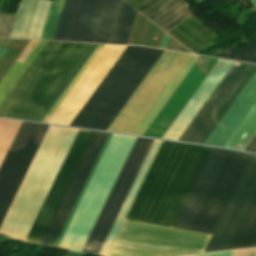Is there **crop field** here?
<instances>
[{
    "label": "crop field",
    "instance_id": "crop-field-1",
    "mask_svg": "<svg viewBox=\"0 0 256 256\" xmlns=\"http://www.w3.org/2000/svg\"><path fill=\"white\" fill-rule=\"evenodd\" d=\"M209 149L163 141L125 219L172 227ZM250 155L211 148L173 227L212 234ZM207 234L125 220L107 256L202 253Z\"/></svg>",
    "mask_w": 256,
    "mask_h": 256
},
{
    "label": "crop field",
    "instance_id": "crop-field-2",
    "mask_svg": "<svg viewBox=\"0 0 256 256\" xmlns=\"http://www.w3.org/2000/svg\"><path fill=\"white\" fill-rule=\"evenodd\" d=\"M48 127L23 122L0 167V225ZM92 133L80 130L76 134L77 137L75 136L76 139L25 241L39 243ZM107 135L93 133L39 244L54 245Z\"/></svg>",
    "mask_w": 256,
    "mask_h": 256
},
{
    "label": "crop field",
    "instance_id": "crop-field-3",
    "mask_svg": "<svg viewBox=\"0 0 256 256\" xmlns=\"http://www.w3.org/2000/svg\"><path fill=\"white\" fill-rule=\"evenodd\" d=\"M38 41H30L24 61ZM92 44L47 42L0 107V116L37 121Z\"/></svg>",
    "mask_w": 256,
    "mask_h": 256
},
{
    "label": "crop field",
    "instance_id": "crop-field-4",
    "mask_svg": "<svg viewBox=\"0 0 256 256\" xmlns=\"http://www.w3.org/2000/svg\"><path fill=\"white\" fill-rule=\"evenodd\" d=\"M255 70L256 65L232 66L179 140L203 143ZM255 104L256 72L204 143L224 147Z\"/></svg>",
    "mask_w": 256,
    "mask_h": 256
},
{
    "label": "crop field",
    "instance_id": "crop-field-5",
    "mask_svg": "<svg viewBox=\"0 0 256 256\" xmlns=\"http://www.w3.org/2000/svg\"><path fill=\"white\" fill-rule=\"evenodd\" d=\"M144 50L127 46L70 125L87 128ZM162 53L146 48L88 128L106 130Z\"/></svg>",
    "mask_w": 256,
    "mask_h": 256
},
{
    "label": "crop field",
    "instance_id": "crop-field-6",
    "mask_svg": "<svg viewBox=\"0 0 256 256\" xmlns=\"http://www.w3.org/2000/svg\"><path fill=\"white\" fill-rule=\"evenodd\" d=\"M256 246V155H251L204 252Z\"/></svg>",
    "mask_w": 256,
    "mask_h": 256
},
{
    "label": "crop field",
    "instance_id": "crop-field-7",
    "mask_svg": "<svg viewBox=\"0 0 256 256\" xmlns=\"http://www.w3.org/2000/svg\"><path fill=\"white\" fill-rule=\"evenodd\" d=\"M97 46V44H93V46L90 48V50L87 52L85 57L82 59V61L79 63V65L76 67L74 72L71 74V76L68 78L66 83L63 85V87L60 89V91L57 93L55 98L52 100V102L49 104L47 109L44 111V113L41 115V117L38 119L39 122H42V120L45 118L47 113L50 111V109L53 107L55 102L58 100L60 95L63 93V91L66 89L68 84L71 82L73 77L76 75V73L79 71L81 66L84 64L86 59L89 57V55L92 53L94 48ZM102 47V45L98 44V46L95 48L93 53L90 55V57L87 59L85 64L82 66L80 71L77 73V75L74 77L72 82L69 84L67 89L64 91V93L61 95L59 100L56 102L54 107L51 109V111L48 113L46 118L43 120V122H47V120L50 118V116L53 114L55 109L58 107V105L61 103V101L64 99L66 94L69 92V90L72 88L74 83L77 81V79L80 77V75L83 73L85 68L88 66V64L91 62L93 57L96 55V53L99 51V49ZM126 48V46H119V45H103V47L100 49V51L97 53L95 58L92 60V62L89 64V66L86 68L84 73L81 75V77L78 79L76 84L73 86V88L70 90V92L67 94L65 99L62 101V103L59 105L57 110L54 112V114L51 116V118L48 120V122L51 123H58V124H65L69 125V123L72 121V119L75 117V115L78 113V111L81 109L83 104L86 102V100L89 98V96L92 94V92L95 90L97 85L100 83V81L103 79V77L106 75V73L109 71V69L112 67L114 62L117 60V58L120 56V54L123 52V50ZM71 124V123H70Z\"/></svg>",
    "mask_w": 256,
    "mask_h": 256
},
{
    "label": "crop field",
    "instance_id": "crop-field-8",
    "mask_svg": "<svg viewBox=\"0 0 256 256\" xmlns=\"http://www.w3.org/2000/svg\"><path fill=\"white\" fill-rule=\"evenodd\" d=\"M121 0H64L53 40L108 43Z\"/></svg>",
    "mask_w": 256,
    "mask_h": 256
},
{
    "label": "crop field",
    "instance_id": "crop-field-9",
    "mask_svg": "<svg viewBox=\"0 0 256 256\" xmlns=\"http://www.w3.org/2000/svg\"><path fill=\"white\" fill-rule=\"evenodd\" d=\"M153 141L136 139L81 252L98 254Z\"/></svg>",
    "mask_w": 256,
    "mask_h": 256
},
{
    "label": "crop field",
    "instance_id": "crop-field-10",
    "mask_svg": "<svg viewBox=\"0 0 256 256\" xmlns=\"http://www.w3.org/2000/svg\"><path fill=\"white\" fill-rule=\"evenodd\" d=\"M50 2L21 0L11 35L40 37Z\"/></svg>",
    "mask_w": 256,
    "mask_h": 256
},
{
    "label": "crop field",
    "instance_id": "crop-field-11",
    "mask_svg": "<svg viewBox=\"0 0 256 256\" xmlns=\"http://www.w3.org/2000/svg\"><path fill=\"white\" fill-rule=\"evenodd\" d=\"M135 9L164 31L190 15L181 0H148Z\"/></svg>",
    "mask_w": 256,
    "mask_h": 256
},
{
    "label": "crop field",
    "instance_id": "crop-field-12",
    "mask_svg": "<svg viewBox=\"0 0 256 256\" xmlns=\"http://www.w3.org/2000/svg\"><path fill=\"white\" fill-rule=\"evenodd\" d=\"M201 24H203L201 21L191 16L175 28L178 29L180 32H182L185 36H187L190 40H192L197 45L204 41L206 42L210 39L217 37L214 34L210 33V34L201 36V38L204 40L203 41L199 37V35L209 31H213V29L211 27L205 29ZM168 34H170L172 37L178 40L181 44H183L189 50L194 47L190 43H188L186 40H184L182 37H180L178 34H176L174 31L170 30Z\"/></svg>",
    "mask_w": 256,
    "mask_h": 256
},
{
    "label": "crop field",
    "instance_id": "crop-field-13",
    "mask_svg": "<svg viewBox=\"0 0 256 256\" xmlns=\"http://www.w3.org/2000/svg\"><path fill=\"white\" fill-rule=\"evenodd\" d=\"M256 132V105L226 145L228 148L242 150ZM225 147V146H224Z\"/></svg>",
    "mask_w": 256,
    "mask_h": 256
},
{
    "label": "crop field",
    "instance_id": "crop-field-14",
    "mask_svg": "<svg viewBox=\"0 0 256 256\" xmlns=\"http://www.w3.org/2000/svg\"><path fill=\"white\" fill-rule=\"evenodd\" d=\"M139 17H140V14H137L136 21H135V24H134V27H133V30H132V33H131V37H130V40H129L128 44L132 43L133 36H134L135 30H136V27H137V24H138ZM143 19H144V17L141 16L140 20H139V24H138L137 30H136V33H135V36H134V40H133V43H132L134 45L137 42L138 35H139L140 29H141V26H142ZM152 25H153V23H151L147 19H144V23H143V27H142V31H141V34H140L138 45H143V46L147 45ZM156 29H157V27L155 25H153L152 32H151V35H150V38H149V42H148V45H147L149 47L152 46V42H153V39H154V36H155ZM162 33H163V31L160 30L159 31V35L156 38V42H155V46H154L156 48L159 47V43H160V40H161V37H162Z\"/></svg>",
    "mask_w": 256,
    "mask_h": 256
},
{
    "label": "crop field",
    "instance_id": "crop-field-15",
    "mask_svg": "<svg viewBox=\"0 0 256 256\" xmlns=\"http://www.w3.org/2000/svg\"><path fill=\"white\" fill-rule=\"evenodd\" d=\"M22 122L0 119V165Z\"/></svg>",
    "mask_w": 256,
    "mask_h": 256
},
{
    "label": "crop field",
    "instance_id": "crop-field-16",
    "mask_svg": "<svg viewBox=\"0 0 256 256\" xmlns=\"http://www.w3.org/2000/svg\"><path fill=\"white\" fill-rule=\"evenodd\" d=\"M214 57L256 63V40L246 47L237 50L229 48L223 52L213 55Z\"/></svg>",
    "mask_w": 256,
    "mask_h": 256
},
{
    "label": "crop field",
    "instance_id": "crop-field-17",
    "mask_svg": "<svg viewBox=\"0 0 256 256\" xmlns=\"http://www.w3.org/2000/svg\"><path fill=\"white\" fill-rule=\"evenodd\" d=\"M63 0H52L40 39L52 40Z\"/></svg>",
    "mask_w": 256,
    "mask_h": 256
},
{
    "label": "crop field",
    "instance_id": "crop-field-18",
    "mask_svg": "<svg viewBox=\"0 0 256 256\" xmlns=\"http://www.w3.org/2000/svg\"><path fill=\"white\" fill-rule=\"evenodd\" d=\"M136 14H137L136 11H134L130 6L126 5L125 13L123 16L122 24L120 27V31H119L116 43H122V44L128 43Z\"/></svg>",
    "mask_w": 256,
    "mask_h": 256
},
{
    "label": "crop field",
    "instance_id": "crop-field-19",
    "mask_svg": "<svg viewBox=\"0 0 256 256\" xmlns=\"http://www.w3.org/2000/svg\"><path fill=\"white\" fill-rule=\"evenodd\" d=\"M111 135L112 134L108 135V137H107V139H106V141H105V143H104V145H103V147H102V149H101V151H100V153H99V155H98V157H97V159H96V161H95V163H94V165H93V167L91 169V172H90V174H89V176H88V178H87V180H86V182H85V184H84V186H83V188H82V190H81V192H80V194H79V196H78V198H77V200H76V202H75V204H74V206L72 208V211H71V213H70V215H69V217H68V219H67V221H66V223H65V225H64V227H63V229H62V231H61V233H60V235H59V237H58V239H57V241H56L54 246H56V247L58 246V244H59V242H60V240H61V238H62V236H63V234H64V232H65V230H66V228H67V226H68V224L70 222V220H71V217H72V215H73V213H74V211H75V209H76V207H77V205H78V203H79V201H80V199H81V197H82V195L84 193V190H85V188H86V186H87V184H88V182H89V180H90V178H91V176H92V174H93V172H94V170H95V168H96V166L98 164V161H99V159H100V157H101V155H102V153H103V151H104V149H105V147H106V145H107Z\"/></svg>",
    "mask_w": 256,
    "mask_h": 256
},
{
    "label": "crop field",
    "instance_id": "crop-field-20",
    "mask_svg": "<svg viewBox=\"0 0 256 256\" xmlns=\"http://www.w3.org/2000/svg\"><path fill=\"white\" fill-rule=\"evenodd\" d=\"M14 16L12 14L0 13V37H9Z\"/></svg>",
    "mask_w": 256,
    "mask_h": 256
},
{
    "label": "crop field",
    "instance_id": "crop-field-21",
    "mask_svg": "<svg viewBox=\"0 0 256 256\" xmlns=\"http://www.w3.org/2000/svg\"><path fill=\"white\" fill-rule=\"evenodd\" d=\"M125 5H126V3L121 1V5H120L119 11H118V15H117V18H116V22H115V25H114L113 32H112L109 43H115L116 42V38H117L118 31H119L120 23H121V20H122V16H123V13H124Z\"/></svg>",
    "mask_w": 256,
    "mask_h": 256
},
{
    "label": "crop field",
    "instance_id": "crop-field-22",
    "mask_svg": "<svg viewBox=\"0 0 256 256\" xmlns=\"http://www.w3.org/2000/svg\"><path fill=\"white\" fill-rule=\"evenodd\" d=\"M233 256H256V248L235 251Z\"/></svg>",
    "mask_w": 256,
    "mask_h": 256
},
{
    "label": "crop field",
    "instance_id": "crop-field-23",
    "mask_svg": "<svg viewBox=\"0 0 256 256\" xmlns=\"http://www.w3.org/2000/svg\"><path fill=\"white\" fill-rule=\"evenodd\" d=\"M246 151L256 152V135L251 140V142L248 144V146L245 148Z\"/></svg>",
    "mask_w": 256,
    "mask_h": 256
},
{
    "label": "crop field",
    "instance_id": "crop-field-24",
    "mask_svg": "<svg viewBox=\"0 0 256 256\" xmlns=\"http://www.w3.org/2000/svg\"><path fill=\"white\" fill-rule=\"evenodd\" d=\"M172 41H173V39L170 38L169 45H168V48H167L169 50L171 49ZM174 50L191 53L187 49H185L183 46H181L179 43H176V46H175Z\"/></svg>",
    "mask_w": 256,
    "mask_h": 256
},
{
    "label": "crop field",
    "instance_id": "crop-field-25",
    "mask_svg": "<svg viewBox=\"0 0 256 256\" xmlns=\"http://www.w3.org/2000/svg\"><path fill=\"white\" fill-rule=\"evenodd\" d=\"M169 38H170V36H168L166 33H163V37H162L159 48L166 49L167 45H168Z\"/></svg>",
    "mask_w": 256,
    "mask_h": 256
},
{
    "label": "crop field",
    "instance_id": "crop-field-26",
    "mask_svg": "<svg viewBox=\"0 0 256 256\" xmlns=\"http://www.w3.org/2000/svg\"><path fill=\"white\" fill-rule=\"evenodd\" d=\"M7 52V49L0 48V60L4 56V54Z\"/></svg>",
    "mask_w": 256,
    "mask_h": 256
},
{
    "label": "crop field",
    "instance_id": "crop-field-27",
    "mask_svg": "<svg viewBox=\"0 0 256 256\" xmlns=\"http://www.w3.org/2000/svg\"><path fill=\"white\" fill-rule=\"evenodd\" d=\"M254 2H255V4H256V0H253Z\"/></svg>",
    "mask_w": 256,
    "mask_h": 256
}]
</instances>
